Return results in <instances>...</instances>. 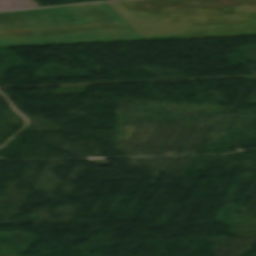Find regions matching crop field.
<instances>
[{"instance_id":"crop-field-1","label":"crop field","mask_w":256,"mask_h":256,"mask_svg":"<svg viewBox=\"0 0 256 256\" xmlns=\"http://www.w3.org/2000/svg\"><path fill=\"white\" fill-rule=\"evenodd\" d=\"M148 40L256 36V0L111 2ZM105 3L0 12V47L144 39Z\"/></svg>"}]
</instances>
